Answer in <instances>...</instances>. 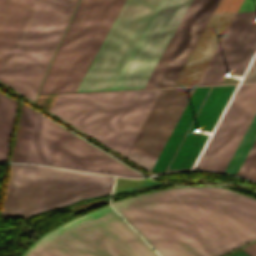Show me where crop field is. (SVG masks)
I'll return each mask as SVG.
<instances>
[{"label": "crop field", "mask_w": 256, "mask_h": 256, "mask_svg": "<svg viewBox=\"0 0 256 256\" xmlns=\"http://www.w3.org/2000/svg\"><path fill=\"white\" fill-rule=\"evenodd\" d=\"M158 0H126L77 92L112 90ZM190 0H159L113 90L145 88ZM219 0H191L146 88L173 86Z\"/></svg>", "instance_id": "crop-field-1"}, {"label": "crop field", "mask_w": 256, "mask_h": 256, "mask_svg": "<svg viewBox=\"0 0 256 256\" xmlns=\"http://www.w3.org/2000/svg\"><path fill=\"white\" fill-rule=\"evenodd\" d=\"M161 256H220L256 239V199L173 188L112 203Z\"/></svg>", "instance_id": "crop-field-2"}, {"label": "crop field", "mask_w": 256, "mask_h": 256, "mask_svg": "<svg viewBox=\"0 0 256 256\" xmlns=\"http://www.w3.org/2000/svg\"><path fill=\"white\" fill-rule=\"evenodd\" d=\"M79 0H0V79L35 101L45 70Z\"/></svg>", "instance_id": "crop-field-3"}, {"label": "crop field", "mask_w": 256, "mask_h": 256, "mask_svg": "<svg viewBox=\"0 0 256 256\" xmlns=\"http://www.w3.org/2000/svg\"><path fill=\"white\" fill-rule=\"evenodd\" d=\"M160 91L40 95L36 103L125 157Z\"/></svg>", "instance_id": "crop-field-4"}, {"label": "crop field", "mask_w": 256, "mask_h": 256, "mask_svg": "<svg viewBox=\"0 0 256 256\" xmlns=\"http://www.w3.org/2000/svg\"><path fill=\"white\" fill-rule=\"evenodd\" d=\"M113 177L64 169L11 164L1 216L27 219L112 190Z\"/></svg>", "instance_id": "crop-field-5"}, {"label": "crop field", "mask_w": 256, "mask_h": 256, "mask_svg": "<svg viewBox=\"0 0 256 256\" xmlns=\"http://www.w3.org/2000/svg\"><path fill=\"white\" fill-rule=\"evenodd\" d=\"M12 161L142 176L22 103Z\"/></svg>", "instance_id": "crop-field-6"}, {"label": "crop field", "mask_w": 256, "mask_h": 256, "mask_svg": "<svg viewBox=\"0 0 256 256\" xmlns=\"http://www.w3.org/2000/svg\"><path fill=\"white\" fill-rule=\"evenodd\" d=\"M23 256H158L110 207L51 231Z\"/></svg>", "instance_id": "crop-field-7"}, {"label": "crop field", "mask_w": 256, "mask_h": 256, "mask_svg": "<svg viewBox=\"0 0 256 256\" xmlns=\"http://www.w3.org/2000/svg\"><path fill=\"white\" fill-rule=\"evenodd\" d=\"M125 0H81L39 94L76 92Z\"/></svg>", "instance_id": "crop-field-8"}, {"label": "crop field", "mask_w": 256, "mask_h": 256, "mask_svg": "<svg viewBox=\"0 0 256 256\" xmlns=\"http://www.w3.org/2000/svg\"><path fill=\"white\" fill-rule=\"evenodd\" d=\"M234 85L196 87L152 172L191 169L207 136L194 133L211 131ZM151 172V171H150Z\"/></svg>", "instance_id": "crop-field-9"}, {"label": "crop field", "mask_w": 256, "mask_h": 256, "mask_svg": "<svg viewBox=\"0 0 256 256\" xmlns=\"http://www.w3.org/2000/svg\"><path fill=\"white\" fill-rule=\"evenodd\" d=\"M256 113V84L240 85L194 169L224 172Z\"/></svg>", "instance_id": "crop-field-10"}, {"label": "crop field", "mask_w": 256, "mask_h": 256, "mask_svg": "<svg viewBox=\"0 0 256 256\" xmlns=\"http://www.w3.org/2000/svg\"><path fill=\"white\" fill-rule=\"evenodd\" d=\"M250 13H237L198 85L220 84L215 79L225 70L243 75L256 50V22L246 20Z\"/></svg>", "instance_id": "crop-field-11"}, {"label": "crop field", "mask_w": 256, "mask_h": 256, "mask_svg": "<svg viewBox=\"0 0 256 256\" xmlns=\"http://www.w3.org/2000/svg\"><path fill=\"white\" fill-rule=\"evenodd\" d=\"M194 89H162L133 145L160 155Z\"/></svg>", "instance_id": "crop-field-12"}, {"label": "crop field", "mask_w": 256, "mask_h": 256, "mask_svg": "<svg viewBox=\"0 0 256 256\" xmlns=\"http://www.w3.org/2000/svg\"><path fill=\"white\" fill-rule=\"evenodd\" d=\"M242 1L221 0L213 14L237 12ZM234 15H212L174 86L197 85Z\"/></svg>", "instance_id": "crop-field-13"}, {"label": "crop field", "mask_w": 256, "mask_h": 256, "mask_svg": "<svg viewBox=\"0 0 256 256\" xmlns=\"http://www.w3.org/2000/svg\"><path fill=\"white\" fill-rule=\"evenodd\" d=\"M17 105L0 93V161H7Z\"/></svg>", "instance_id": "crop-field-14"}, {"label": "crop field", "mask_w": 256, "mask_h": 256, "mask_svg": "<svg viewBox=\"0 0 256 256\" xmlns=\"http://www.w3.org/2000/svg\"><path fill=\"white\" fill-rule=\"evenodd\" d=\"M255 138H256V115L254 116L249 128L247 129L243 139L241 140L225 172L236 174L239 166L241 165L243 159L245 158Z\"/></svg>", "instance_id": "crop-field-15"}, {"label": "crop field", "mask_w": 256, "mask_h": 256, "mask_svg": "<svg viewBox=\"0 0 256 256\" xmlns=\"http://www.w3.org/2000/svg\"><path fill=\"white\" fill-rule=\"evenodd\" d=\"M256 173V140L237 174L253 179Z\"/></svg>", "instance_id": "crop-field-16"}, {"label": "crop field", "mask_w": 256, "mask_h": 256, "mask_svg": "<svg viewBox=\"0 0 256 256\" xmlns=\"http://www.w3.org/2000/svg\"><path fill=\"white\" fill-rule=\"evenodd\" d=\"M239 250H241L243 253H245L248 256H256V242L253 244H250L242 249H239ZM239 250H237L231 254H228L226 256H246Z\"/></svg>", "instance_id": "crop-field-17"}, {"label": "crop field", "mask_w": 256, "mask_h": 256, "mask_svg": "<svg viewBox=\"0 0 256 256\" xmlns=\"http://www.w3.org/2000/svg\"><path fill=\"white\" fill-rule=\"evenodd\" d=\"M256 82V56L241 83Z\"/></svg>", "instance_id": "crop-field-18"}, {"label": "crop field", "mask_w": 256, "mask_h": 256, "mask_svg": "<svg viewBox=\"0 0 256 256\" xmlns=\"http://www.w3.org/2000/svg\"><path fill=\"white\" fill-rule=\"evenodd\" d=\"M102 203H105V200H104V199H101V200H97V201H93V202H89V203H86V204H83V205L76 206V207L72 208L71 211L73 212V214H75V213L84 211V210H86V209H89V208H91V207L100 205V204H102Z\"/></svg>", "instance_id": "crop-field-19"}, {"label": "crop field", "mask_w": 256, "mask_h": 256, "mask_svg": "<svg viewBox=\"0 0 256 256\" xmlns=\"http://www.w3.org/2000/svg\"><path fill=\"white\" fill-rule=\"evenodd\" d=\"M256 0H244L239 12L255 11Z\"/></svg>", "instance_id": "crop-field-20"}, {"label": "crop field", "mask_w": 256, "mask_h": 256, "mask_svg": "<svg viewBox=\"0 0 256 256\" xmlns=\"http://www.w3.org/2000/svg\"><path fill=\"white\" fill-rule=\"evenodd\" d=\"M253 180H256V175H255V177H254V179Z\"/></svg>", "instance_id": "crop-field-21"}]
</instances>
